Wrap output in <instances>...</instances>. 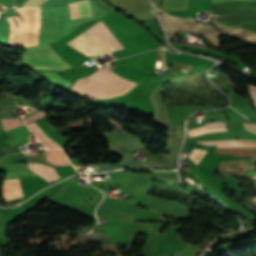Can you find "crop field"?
Listing matches in <instances>:
<instances>
[{
	"label": "crop field",
	"mask_w": 256,
	"mask_h": 256,
	"mask_svg": "<svg viewBox=\"0 0 256 256\" xmlns=\"http://www.w3.org/2000/svg\"><path fill=\"white\" fill-rule=\"evenodd\" d=\"M5 129H12L14 127H17L19 125H22V122L19 120V118L15 119H6V120H1Z\"/></svg>",
	"instance_id": "crop-field-11"
},
{
	"label": "crop field",
	"mask_w": 256,
	"mask_h": 256,
	"mask_svg": "<svg viewBox=\"0 0 256 256\" xmlns=\"http://www.w3.org/2000/svg\"><path fill=\"white\" fill-rule=\"evenodd\" d=\"M46 0H27L22 6H40Z\"/></svg>",
	"instance_id": "crop-field-14"
},
{
	"label": "crop field",
	"mask_w": 256,
	"mask_h": 256,
	"mask_svg": "<svg viewBox=\"0 0 256 256\" xmlns=\"http://www.w3.org/2000/svg\"><path fill=\"white\" fill-rule=\"evenodd\" d=\"M249 92V95L251 97V99L253 100L255 106H256V92L255 91H251V90H248Z\"/></svg>",
	"instance_id": "crop-field-16"
},
{
	"label": "crop field",
	"mask_w": 256,
	"mask_h": 256,
	"mask_svg": "<svg viewBox=\"0 0 256 256\" xmlns=\"http://www.w3.org/2000/svg\"><path fill=\"white\" fill-rule=\"evenodd\" d=\"M17 17H18V16H17ZM18 19H19V17H18ZM19 21L22 22L20 19H19Z\"/></svg>",
	"instance_id": "crop-field-19"
},
{
	"label": "crop field",
	"mask_w": 256,
	"mask_h": 256,
	"mask_svg": "<svg viewBox=\"0 0 256 256\" xmlns=\"http://www.w3.org/2000/svg\"><path fill=\"white\" fill-rule=\"evenodd\" d=\"M244 127L246 130L256 133V127L254 125L244 123Z\"/></svg>",
	"instance_id": "crop-field-15"
},
{
	"label": "crop field",
	"mask_w": 256,
	"mask_h": 256,
	"mask_svg": "<svg viewBox=\"0 0 256 256\" xmlns=\"http://www.w3.org/2000/svg\"><path fill=\"white\" fill-rule=\"evenodd\" d=\"M44 74L66 89L72 84V83L68 82L67 80L63 79L62 77H60L55 72H48V73H44Z\"/></svg>",
	"instance_id": "crop-field-10"
},
{
	"label": "crop field",
	"mask_w": 256,
	"mask_h": 256,
	"mask_svg": "<svg viewBox=\"0 0 256 256\" xmlns=\"http://www.w3.org/2000/svg\"><path fill=\"white\" fill-rule=\"evenodd\" d=\"M199 143L217 145V147H256V141L250 140L205 141Z\"/></svg>",
	"instance_id": "crop-field-7"
},
{
	"label": "crop field",
	"mask_w": 256,
	"mask_h": 256,
	"mask_svg": "<svg viewBox=\"0 0 256 256\" xmlns=\"http://www.w3.org/2000/svg\"><path fill=\"white\" fill-rule=\"evenodd\" d=\"M219 131H228L227 127L224 123L215 122V123H208L206 125H203L199 128L189 130L188 135L190 137L208 133V132H219Z\"/></svg>",
	"instance_id": "crop-field-8"
},
{
	"label": "crop field",
	"mask_w": 256,
	"mask_h": 256,
	"mask_svg": "<svg viewBox=\"0 0 256 256\" xmlns=\"http://www.w3.org/2000/svg\"><path fill=\"white\" fill-rule=\"evenodd\" d=\"M92 75L123 94L135 86V83L128 81L126 79H123L118 75H116L109 68V66L101 68L100 70H98Z\"/></svg>",
	"instance_id": "crop-field-2"
},
{
	"label": "crop field",
	"mask_w": 256,
	"mask_h": 256,
	"mask_svg": "<svg viewBox=\"0 0 256 256\" xmlns=\"http://www.w3.org/2000/svg\"><path fill=\"white\" fill-rule=\"evenodd\" d=\"M6 133L10 139L11 145L22 144L29 141V130L25 125L8 130Z\"/></svg>",
	"instance_id": "crop-field-6"
},
{
	"label": "crop field",
	"mask_w": 256,
	"mask_h": 256,
	"mask_svg": "<svg viewBox=\"0 0 256 256\" xmlns=\"http://www.w3.org/2000/svg\"><path fill=\"white\" fill-rule=\"evenodd\" d=\"M213 4L216 5L217 3L221 2V1H225V0H212Z\"/></svg>",
	"instance_id": "crop-field-17"
},
{
	"label": "crop field",
	"mask_w": 256,
	"mask_h": 256,
	"mask_svg": "<svg viewBox=\"0 0 256 256\" xmlns=\"http://www.w3.org/2000/svg\"><path fill=\"white\" fill-rule=\"evenodd\" d=\"M44 114H46V113H44L43 111H39V112L29 116V117L24 118V120H25V122L27 124V123H29L31 121H35V120L39 119Z\"/></svg>",
	"instance_id": "crop-field-13"
},
{
	"label": "crop field",
	"mask_w": 256,
	"mask_h": 256,
	"mask_svg": "<svg viewBox=\"0 0 256 256\" xmlns=\"http://www.w3.org/2000/svg\"><path fill=\"white\" fill-rule=\"evenodd\" d=\"M28 165L33 172L49 182L60 178L57 172L52 167L44 166L38 163H28Z\"/></svg>",
	"instance_id": "crop-field-5"
},
{
	"label": "crop field",
	"mask_w": 256,
	"mask_h": 256,
	"mask_svg": "<svg viewBox=\"0 0 256 256\" xmlns=\"http://www.w3.org/2000/svg\"><path fill=\"white\" fill-rule=\"evenodd\" d=\"M70 18L92 16L90 0H82L68 4Z\"/></svg>",
	"instance_id": "crop-field-3"
},
{
	"label": "crop field",
	"mask_w": 256,
	"mask_h": 256,
	"mask_svg": "<svg viewBox=\"0 0 256 256\" xmlns=\"http://www.w3.org/2000/svg\"><path fill=\"white\" fill-rule=\"evenodd\" d=\"M5 167L9 171L8 173H6L5 179L34 176V174L27 169L26 163L7 164L5 165Z\"/></svg>",
	"instance_id": "crop-field-4"
},
{
	"label": "crop field",
	"mask_w": 256,
	"mask_h": 256,
	"mask_svg": "<svg viewBox=\"0 0 256 256\" xmlns=\"http://www.w3.org/2000/svg\"><path fill=\"white\" fill-rule=\"evenodd\" d=\"M25 49L26 52L22 55V61L24 65L33 69L67 70L72 68L58 57L49 45H40Z\"/></svg>",
	"instance_id": "crop-field-1"
},
{
	"label": "crop field",
	"mask_w": 256,
	"mask_h": 256,
	"mask_svg": "<svg viewBox=\"0 0 256 256\" xmlns=\"http://www.w3.org/2000/svg\"><path fill=\"white\" fill-rule=\"evenodd\" d=\"M13 109H16V107H0V118L16 117L13 113Z\"/></svg>",
	"instance_id": "crop-field-12"
},
{
	"label": "crop field",
	"mask_w": 256,
	"mask_h": 256,
	"mask_svg": "<svg viewBox=\"0 0 256 256\" xmlns=\"http://www.w3.org/2000/svg\"><path fill=\"white\" fill-rule=\"evenodd\" d=\"M28 127L40 139V141L46 148L60 147L54 141H52L47 135H45L34 122L28 124Z\"/></svg>",
	"instance_id": "crop-field-9"
},
{
	"label": "crop field",
	"mask_w": 256,
	"mask_h": 256,
	"mask_svg": "<svg viewBox=\"0 0 256 256\" xmlns=\"http://www.w3.org/2000/svg\"><path fill=\"white\" fill-rule=\"evenodd\" d=\"M246 84H247V83H246ZM247 86H248L249 88L256 89V86H254V85L247 84Z\"/></svg>",
	"instance_id": "crop-field-18"
}]
</instances>
